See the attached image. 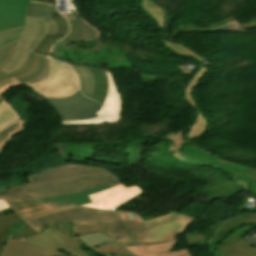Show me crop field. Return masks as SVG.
<instances>
[{"mask_svg": "<svg viewBox=\"0 0 256 256\" xmlns=\"http://www.w3.org/2000/svg\"><path fill=\"white\" fill-rule=\"evenodd\" d=\"M3 100H4L3 97L0 95V103H1Z\"/></svg>", "mask_w": 256, "mask_h": 256, "instance_id": "obj_43", "label": "crop field"}, {"mask_svg": "<svg viewBox=\"0 0 256 256\" xmlns=\"http://www.w3.org/2000/svg\"><path fill=\"white\" fill-rule=\"evenodd\" d=\"M82 241L88 246H96L100 245L102 243H105L109 240H112L110 237L100 234V233H94V234H86V235H81L79 236Z\"/></svg>", "mask_w": 256, "mask_h": 256, "instance_id": "obj_32", "label": "crop field"}, {"mask_svg": "<svg viewBox=\"0 0 256 256\" xmlns=\"http://www.w3.org/2000/svg\"><path fill=\"white\" fill-rule=\"evenodd\" d=\"M23 220L45 215L54 211L71 207L65 204H47L24 199L4 200Z\"/></svg>", "mask_w": 256, "mask_h": 256, "instance_id": "obj_13", "label": "crop field"}, {"mask_svg": "<svg viewBox=\"0 0 256 256\" xmlns=\"http://www.w3.org/2000/svg\"><path fill=\"white\" fill-rule=\"evenodd\" d=\"M71 223L57 224L39 235L26 239L44 248L67 252L73 256H89L80 244H84L78 236H70ZM41 240V242L37 241Z\"/></svg>", "mask_w": 256, "mask_h": 256, "instance_id": "obj_5", "label": "crop field"}, {"mask_svg": "<svg viewBox=\"0 0 256 256\" xmlns=\"http://www.w3.org/2000/svg\"><path fill=\"white\" fill-rule=\"evenodd\" d=\"M186 256H191L190 254L186 255Z\"/></svg>", "mask_w": 256, "mask_h": 256, "instance_id": "obj_44", "label": "crop field"}, {"mask_svg": "<svg viewBox=\"0 0 256 256\" xmlns=\"http://www.w3.org/2000/svg\"><path fill=\"white\" fill-rule=\"evenodd\" d=\"M9 206L2 200H0V210L8 209Z\"/></svg>", "mask_w": 256, "mask_h": 256, "instance_id": "obj_41", "label": "crop field"}, {"mask_svg": "<svg viewBox=\"0 0 256 256\" xmlns=\"http://www.w3.org/2000/svg\"><path fill=\"white\" fill-rule=\"evenodd\" d=\"M24 129V125L20 120L7 127L0 132V153L4 149L5 145L8 143L6 140Z\"/></svg>", "mask_w": 256, "mask_h": 256, "instance_id": "obj_28", "label": "crop field"}, {"mask_svg": "<svg viewBox=\"0 0 256 256\" xmlns=\"http://www.w3.org/2000/svg\"><path fill=\"white\" fill-rule=\"evenodd\" d=\"M94 77V91L92 99L103 104L106 90H107V77L103 70L89 68Z\"/></svg>", "mask_w": 256, "mask_h": 256, "instance_id": "obj_23", "label": "crop field"}, {"mask_svg": "<svg viewBox=\"0 0 256 256\" xmlns=\"http://www.w3.org/2000/svg\"><path fill=\"white\" fill-rule=\"evenodd\" d=\"M35 1H40V2H44V3H49V4L55 5V0H35Z\"/></svg>", "mask_w": 256, "mask_h": 256, "instance_id": "obj_42", "label": "crop field"}, {"mask_svg": "<svg viewBox=\"0 0 256 256\" xmlns=\"http://www.w3.org/2000/svg\"><path fill=\"white\" fill-rule=\"evenodd\" d=\"M51 75L43 82L27 85L43 97H65L79 89L76 73L66 64L52 60Z\"/></svg>", "mask_w": 256, "mask_h": 256, "instance_id": "obj_4", "label": "crop field"}, {"mask_svg": "<svg viewBox=\"0 0 256 256\" xmlns=\"http://www.w3.org/2000/svg\"><path fill=\"white\" fill-rule=\"evenodd\" d=\"M64 222H72L71 235L100 232L113 239L145 228L140 218L134 214L96 211L79 206L25 220L31 229L39 233L54 224Z\"/></svg>", "mask_w": 256, "mask_h": 256, "instance_id": "obj_2", "label": "crop field"}, {"mask_svg": "<svg viewBox=\"0 0 256 256\" xmlns=\"http://www.w3.org/2000/svg\"><path fill=\"white\" fill-rule=\"evenodd\" d=\"M62 120H83L97 117L101 104L82 96L80 90L65 98H45Z\"/></svg>", "mask_w": 256, "mask_h": 256, "instance_id": "obj_6", "label": "crop field"}, {"mask_svg": "<svg viewBox=\"0 0 256 256\" xmlns=\"http://www.w3.org/2000/svg\"><path fill=\"white\" fill-rule=\"evenodd\" d=\"M36 234L13 210L0 211V253L9 238L26 239Z\"/></svg>", "mask_w": 256, "mask_h": 256, "instance_id": "obj_11", "label": "crop field"}, {"mask_svg": "<svg viewBox=\"0 0 256 256\" xmlns=\"http://www.w3.org/2000/svg\"><path fill=\"white\" fill-rule=\"evenodd\" d=\"M28 0L0 1V19L25 16Z\"/></svg>", "mask_w": 256, "mask_h": 256, "instance_id": "obj_22", "label": "crop field"}, {"mask_svg": "<svg viewBox=\"0 0 256 256\" xmlns=\"http://www.w3.org/2000/svg\"><path fill=\"white\" fill-rule=\"evenodd\" d=\"M71 28L66 37L63 39H68V40H76L78 37L81 35V28L76 20L69 21Z\"/></svg>", "mask_w": 256, "mask_h": 256, "instance_id": "obj_35", "label": "crop field"}, {"mask_svg": "<svg viewBox=\"0 0 256 256\" xmlns=\"http://www.w3.org/2000/svg\"><path fill=\"white\" fill-rule=\"evenodd\" d=\"M234 180L236 181V184L240 185L243 189H245L246 191L250 192V184H248L247 182H241L237 179L234 178Z\"/></svg>", "mask_w": 256, "mask_h": 256, "instance_id": "obj_39", "label": "crop field"}, {"mask_svg": "<svg viewBox=\"0 0 256 256\" xmlns=\"http://www.w3.org/2000/svg\"><path fill=\"white\" fill-rule=\"evenodd\" d=\"M176 238L177 236L162 244L132 245L125 247L136 256H184L189 253L188 250L178 252L171 251L173 245L177 244Z\"/></svg>", "mask_w": 256, "mask_h": 256, "instance_id": "obj_16", "label": "crop field"}, {"mask_svg": "<svg viewBox=\"0 0 256 256\" xmlns=\"http://www.w3.org/2000/svg\"><path fill=\"white\" fill-rule=\"evenodd\" d=\"M68 20H71V19H83L81 14L79 12H68V13H64L63 14Z\"/></svg>", "mask_w": 256, "mask_h": 256, "instance_id": "obj_38", "label": "crop field"}, {"mask_svg": "<svg viewBox=\"0 0 256 256\" xmlns=\"http://www.w3.org/2000/svg\"><path fill=\"white\" fill-rule=\"evenodd\" d=\"M91 250L99 255L104 256H108L110 254L118 256H133L115 241L100 247L91 248Z\"/></svg>", "mask_w": 256, "mask_h": 256, "instance_id": "obj_26", "label": "crop field"}, {"mask_svg": "<svg viewBox=\"0 0 256 256\" xmlns=\"http://www.w3.org/2000/svg\"><path fill=\"white\" fill-rule=\"evenodd\" d=\"M45 20L28 18L25 19L24 30L21 34L18 46L11 62L2 70L9 73L24 63L28 51L32 52L46 34Z\"/></svg>", "mask_w": 256, "mask_h": 256, "instance_id": "obj_7", "label": "crop field"}, {"mask_svg": "<svg viewBox=\"0 0 256 256\" xmlns=\"http://www.w3.org/2000/svg\"><path fill=\"white\" fill-rule=\"evenodd\" d=\"M79 75L80 77V85L82 93L91 97L93 91V77L90 74V71L87 67L70 65Z\"/></svg>", "mask_w": 256, "mask_h": 256, "instance_id": "obj_24", "label": "crop field"}, {"mask_svg": "<svg viewBox=\"0 0 256 256\" xmlns=\"http://www.w3.org/2000/svg\"><path fill=\"white\" fill-rule=\"evenodd\" d=\"M18 119V116L6 101L0 104V131Z\"/></svg>", "mask_w": 256, "mask_h": 256, "instance_id": "obj_27", "label": "crop field"}, {"mask_svg": "<svg viewBox=\"0 0 256 256\" xmlns=\"http://www.w3.org/2000/svg\"><path fill=\"white\" fill-rule=\"evenodd\" d=\"M55 10L56 6L29 0L26 16L46 19L47 33L55 35L57 24L49 17Z\"/></svg>", "mask_w": 256, "mask_h": 256, "instance_id": "obj_20", "label": "crop field"}, {"mask_svg": "<svg viewBox=\"0 0 256 256\" xmlns=\"http://www.w3.org/2000/svg\"><path fill=\"white\" fill-rule=\"evenodd\" d=\"M194 219L179 212H172L154 219L146 220L147 229L128 237L117 239L123 245L161 243L184 233Z\"/></svg>", "mask_w": 256, "mask_h": 256, "instance_id": "obj_3", "label": "crop field"}, {"mask_svg": "<svg viewBox=\"0 0 256 256\" xmlns=\"http://www.w3.org/2000/svg\"><path fill=\"white\" fill-rule=\"evenodd\" d=\"M50 69H51L50 62H49V59L47 58L46 59V64H45V69H44L42 75L38 79L30 81V82H26L24 84L27 85V84L37 83L39 81L45 80L49 76V74H50ZM19 84L20 83L17 80H15L14 78L9 79V80L3 82L2 84H0V94L3 95L4 92L8 88H10L11 86L19 85Z\"/></svg>", "mask_w": 256, "mask_h": 256, "instance_id": "obj_29", "label": "crop field"}, {"mask_svg": "<svg viewBox=\"0 0 256 256\" xmlns=\"http://www.w3.org/2000/svg\"><path fill=\"white\" fill-rule=\"evenodd\" d=\"M245 224H256V213L231 218L225 221L208 241L210 253L229 232Z\"/></svg>", "mask_w": 256, "mask_h": 256, "instance_id": "obj_17", "label": "crop field"}, {"mask_svg": "<svg viewBox=\"0 0 256 256\" xmlns=\"http://www.w3.org/2000/svg\"><path fill=\"white\" fill-rule=\"evenodd\" d=\"M110 188L109 185L102 186L93 190L89 191H84L80 193H73V194H67L59 197H54V198H48V199H43L41 201H46V202H61V203H68V204H76V205H82V204H87L91 203V200L88 195L103 191Z\"/></svg>", "mask_w": 256, "mask_h": 256, "instance_id": "obj_21", "label": "crop field"}, {"mask_svg": "<svg viewBox=\"0 0 256 256\" xmlns=\"http://www.w3.org/2000/svg\"><path fill=\"white\" fill-rule=\"evenodd\" d=\"M49 254V255H48ZM0 256H69L61 252L50 251L24 240L7 242Z\"/></svg>", "mask_w": 256, "mask_h": 256, "instance_id": "obj_15", "label": "crop field"}, {"mask_svg": "<svg viewBox=\"0 0 256 256\" xmlns=\"http://www.w3.org/2000/svg\"><path fill=\"white\" fill-rule=\"evenodd\" d=\"M19 37H20V34L17 35V36L12 37V38H10V39H8V40H6V41H3V42L0 43V46L4 45V44H6V43H8V42H10V41H13V40H15V39H18Z\"/></svg>", "mask_w": 256, "mask_h": 256, "instance_id": "obj_40", "label": "crop field"}, {"mask_svg": "<svg viewBox=\"0 0 256 256\" xmlns=\"http://www.w3.org/2000/svg\"><path fill=\"white\" fill-rule=\"evenodd\" d=\"M162 40H163L165 46L170 48L173 52H175L177 54H180V55H184V56H187L189 54V55H192L193 58H196L201 63L203 62V59L199 55L185 49L184 47H182L178 44L168 42V41L165 40V38H162Z\"/></svg>", "mask_w": 256, "mask_h": 256, "instance_id": "obj_33", "label": "crop field"}, {"mask_svg": "<svg viewBox=\"0 0 256 256\" xmlns=\"http://www.w3.org/2000/svg\"><path fill=\"white\" fill-rule=\"evenodd\" d=\"M106 72V71H105ZM108 90L103 107L96 113L99 117L84 121H62L63 125H86L117 122L121 114V98L117 93L114 80L108 72Z\"/></svg>", "mask_w": 256, "mask_h": 256, "instance_id": "obj_9", "label": "crop field"}, {"mask_svg": "<svg viewBox=\"0 0 256 256\" xmlns=\"http://www.w3.org/2000/svg\"><path fill=\"white\" fill-rule=\"evenodd\" d=\"M207 71V68L203 67L198 71L195 76L192 78V80L187 85L186 89V99L188 102L197 110L198 112V118L196 119L195 123L193 124V127L191 128L188 139L190 138H196L200 136L204 130H206L207 120L203 117L201 111L198 109L197 105L193 101L192 97L189 95L191 93V90L196 84L198 83V79L202 77Z\"/></svg>", "mask_w": 256, "mask_h": 256, "instance_id": "obj_19", "label": "crop field"}, {"mask_svg": "<svg viewBox=\"0 0 256 256\" xmlns=\"http://www.w3.org/2000/svg\"><path fill=\"white\" fill-rule=\"evenodd\" d=\"M44 63H45V57L40 56V63H39L38 68L35 70V72L33 74H31L30 76H28L22 80H19V82L20 83L26 82V81H30V80H33V79L39 77L44 68Z\"/></svg>", "mask_w": 256, "mask_h": 256, "instance_id": "obj_36", "label": "crop field"}, {"mask_svg": "<svg viewBox=\"0 0 256 256\" xmlns=\"http://www.w3.org/2000/svg\"><path fill=\"white\" fill-rule=\"evenodd\" d=\"M22 29L23 27L0 33V42L20 33Z\"/></svg>", "mask_w": 256, "mask_h": 256, "instance_id": "obj_37", "label": "crop field"}, {"mask_svg": "<svg viewBox=\"0 0 256 256\" xmlns=\"http://www.w3.org/2000/svg\"><path fill=\"white\" fill-rule=\"evenodd\" d=\"M141 192L143 191H141L136 185L127 188L120 184L107 191L90 195L93 203L83 206L111 210Z\"/></svg>", "mask_w": 256, "mask_h": 256, "instance_id": "obj_10", "label": "crop field"}, {"mask_svg": "<svg viewBox=\"0 0 256 256\" xmlns=\"http://www.w3.org/2000/svg\"><path fill=\"white\" fill-rule=\"evenodd\" d=\"M199 149V148H198ZM191 145H186L183 149V153L187 160L196 163H209L221 170L231 173L235 176H239L252 183L253 192L256 193V170L248 167H243L235 164L228 163L215 156L210 155L207 152L198 150Z\"/></svg>", "mask_w": 256, "mask_h": 256, "instance_id": "obj_8", "label": "crop field"}, {"mask_svg": "<svg viewBox=\"0 0 256 256\" xmlns=\"http://www.w3.org/2000/svg\"><path fill=\"white\" fill-rule=\"evenodd\" d=\"M50 17H52L58 23V31L55 36L46 34V36L34 49L33 53H38L44 56H48V52L52 47V45L58 40H60L61 38H63L69 30L68 23L62 15H60L55 11Z\"/></svg>", "mask_w": 256, "mask_h": 256, "instance_id": "obj_18", "label": "crop field"}, {"mask_svg": "<svg viewBox=\"0 0 256 256\" xmlns=\"http://www.w3.org/2000/svg\"><path fill=\"white\" fill-rule=\"evenodd\" d=\"M18 40L10 42V43L0 47V83L11 78V77L16 78L17 80L24 78V77L30 75L31 73H33L34 70L36 69V67L38 66L39 56L29 52L27 59L21 68L15 70L9 74H7L1 70L11 60V58L14 54L15 48L17 46Z\"/></svg>", "mask_w": 256, "mask_h": 256, "instance_id": "obj_12", "label": "crop field"}, {"mask_svg": "<svg viewBox=\"0 0 256 256\" xmlns=\"http://www.w3.org/2000/svg\"><path fill=\"white\" fill-rule=\"evenodd\" d=\"M82 28V35L79 37L78 41L93 40L100 37V33L95 28L91 27L84 19L79 21Z\"/></svg>", "mask_w": 256, "mask_h": 256, "instance_id": "obj_31", "label": "crop field"}, {"mask_svg": "<svg viewBox=\"0 0 256 256\" xmlns=\"http://www.w3.org/2000/svg\"><path fill=\"white\" fill-rule=\"evenodd\" d=\"M142 8L146 11L149 15L156 20L159 27L164 29L166 24V17L164 11L156 4L152 3L149 0H142Z\"/></svg>", "mask_w": 256, "mask_h": 256, "instance_id": "obj_25", "label": "crop field"}, {"mask_svg": "<svg viewBox=\"0 0 256 256\" xmlns=\"http://www.w3.org/2000/svg\"><path fill=\"white\" fill-rule=\"evenodd\" d=\"M253 229L254 226L244 227L230 235L213 256H256V249L242 238Z\"/></svg>", "mask_w": 256, "mask_h": 256, "instance_id": "obj_14", "label": "crop field"}, {"mask_svg": "<svg viewBox=\"0 0 256 256\" xmlns=\"http://www.w3.org/2000/svg\"><path fill=\"white\" fill-rule=\"evenodd\" d=\"M30 183L0 191V198L43 199L67 193L120 184L111 172L96 167L64 165L27 177Z\"/></svg>", "mask_w": 256, "mask_h": 256, "instance_id": "obj_1", "label": "crop field"}, {"mask_svg": "<svg viewBox=\"0 0 256 256\" xmlns=\"http://www.w3.org/2000/svg\"><path fill=\"white\" fill-rule=\"evenodd\" d=\"M184 132H176L177 135L169 136L168 141L170 144V152L176 156V158L181 159L180 149L186 143L185 139H183ZM185 161V160H182ZM186 162V161H185Z\"/></svg>", "mask_w": 256, "mask_h": 256, "instance_id": "obj_30", "label": "crop field"}, {"mask_svg": "<svg viewBox=\"0 0 256 256\" xmlns=\"http://www.w3.org/2000/svg\"><path fill=\"white\" fill-rule=\"evenodd\" d=\"M25 17L0 20V32L22 27Z\"/></svg>", "mask_w": 256, "mask_h": 256, "instance_id": "obj_34", "label": "crop field"}]
</instances>
